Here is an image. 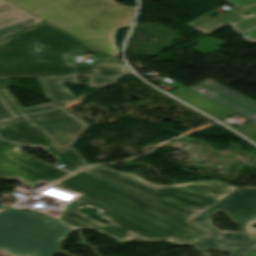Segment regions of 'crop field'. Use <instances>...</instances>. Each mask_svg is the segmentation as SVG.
<instances>
[{"label": "crop field", "instance_id": "obj_11", "mask_svg": "<svg viewBox=\"0 0 256 256\" xmlns=\"http://www.w3.org/2000/svg\"><path fill=\"white\" fill-rule=\"evenodd\" d=\"M43 20L0 0V40Z\"/></svg>", "mask_w": 256, "mask_h": 256}, {"label": "crop field", "instance_id": "obj_1", "mask_svg": "<svg viewBox=\"0 0 256 256\" xmlns=\"http://www.w3.org/2000/svg\"><path fill=\"white\" fill-rule=\"evenodd\" d=\"M58 183L190 244L214 233L191 220L239 188L219 181L161 186L105 166Z\"/></svg>", "mask_w": 256, "mask_h": 256}, {"label": "crop field", "instance_id": "obj_9", "mask_svg": "<svg viewBox=\"0 0 256 256\" xmlns=\"http://www.w3.org/2000/svg\"><path fill=\"white\" fill-rule=\"evenodd\" d=\"M0 136L5 140L31 147L42 146L45 150L52 153L71 172L88 164L74 147L60 152L49 144L40 132L27 126L26 123L0 127Z\"/></svg>", "mask_w": 256, "mask_h": 256}, {"label": "crop field", "instance_id": "obj_17", "mask_svg": "<svg viewBox=\"0 0 256 256\" xmlns=\"http://www.w3.org/2000/svg\"><path fill=\"white\" fill-rule=\"evenodd\" d=\"M243 37L247 42L256 43V25L239 34Z\"/></svg>", "mask_w": 256, "mask_h": 256}, {"label": "crop field", "instance_id": "obj_12", "mask_svg": "<svg viewBox=\"0 0 256 256\" xmlns=\"http://www.w3.org/2000/svg\"><path fill=\"white\" fill-rule=\"evenodd\" d=\"M227 24H229L238 34L243 32L256 24V8L244 14L235 10L219 18H213L192 29L210 35Z\"/></svg>", "mask_w": 256, "mask_h": 256}, {"label": "crop field", "instance_id": "obj_7", "mask_svg": "<svg viewBox=\"0 0 256 256\" xmlns=\"http://www.w3.org/2000/svg\"><path fill=\"white\" fill-rule=\"evenodd\" d=\"M21 147L23 146L5 142L0 138V173L31 187L41 182L48 185L68 175L23 153L19 150Z\"/></svg>", "mask_w": 256, "mask_h": 256}, {"label": "crop field", "instance_id": "obj_2", "mask_svg": "<svg viewBox=\"0 0 256 256\" xmlns=\"http://www.w3.org/2000/svg\"><path fill=\"white\" fill-rule=\"evenodd\" d=\"M42 46L40 50L35 45ZM98 49L44 22L0 42V88L12 77H36L49 101L65 105L76 99L63 83L87 76L89 85H104L128 72L122 63L68 64L66 55Z\"/></svg>", "mask_w": 256, "mask_h": 256}, {"label": "crop field", "instance_id": "obj_21", "mask_svg": "<svg viewBox=\"0 0 256 256\" xmlns=\"http://www.w3.org/2000/svg\"><path fill=\"white\" fill-rule=\"evenodd\" d=\"M252 8H254V7H252ZM252 8H248V9H244V10H241V12H246V11H248V10H250V9H252ZM238 10V9H237ZM240 11V10H239Z\"/></svg>", "mask_w": 256, "mask_h": 256}, {"label": "crop field", "instance_id": "obj_20", "mask_svg": "<svg viewBox=\"0 0 256 256\" xmlns=\"http://www.w3.org/2000/svg\"><path fill=\"white\" fill-rule=\"evenodd\" d=\"M72 230H74V229H72ZM72 230H70V231L64 233V234L61 236V238L59 239V241L57 242L56 246H55L54 248H52L51 250H54V251L58 250L59 247H60V245L62 244L63 240L65 239L66 235H67L69 232H71Z\"/></svg>", "mask_w": 256, "mask_h": 256}, {"label": "crop field", "instance_id": "obj_14", "mask_svg": "<svg viewBox=\"0 0 256 256\" xmlns=\"http://www.w3.org/2000/svg\"><path fill=\"white\" fill-rule=\"evenodd\" d=\"M1 90L5 94V96L9 99V101L12 103V105L16 108V110L19 112L20 115H26V114H30V113H35V112H39V111H44V110H48V109H54V108L61 107V106L55 105L53 103H49V104H43V105L24 108L19 103V101L10 93V91L7 88L1 89Z\"/></svg>", "mask_w": 256, "mask_h": 256}, {"label": "crop field", "instance_id": "obj_5", "mask_svg": "<svg viewBox=\"0 0 256 256\" xmlns=\"http://www.w3.org/2000/svg\"><path fill=\"white\" fill-rule=\"evenodd\" d=\"M71 228L46 217L7 208L0 212V250L14 256H50Z\"/></svg>", "mask_w": 256, "mask_h": 256}, {"label": "crop field", "instance_id": "obj_22", "mask_svg": "<svg viewBox=\"0 0 256 256\" xmlns=\"http://www.w3.org/2000/svg\"><path fill=\"white\" fill-rule=\"evenodd\" d=\"M0 177H6V178H9V177H7V176H4V175H2V174H0ZM11 179V178H10Z\"/></svg>", "mask_w": 256, "mask_h": 256}, {"label": "crop field", "instance_id": "obj_13", "mask_svg": "<svg viewBox=\"0 0 256 256\" xmlns=\"http://www.w3.org/2000/svg\"><path fill=\"white\" fill-rule=\"evenodd\" d=\"M187 103L207 112L211 116L215 117L216 119L220 120L233 112L195 94L194 92L186 89L176 95H174ZM206 113V114H207Z\"/></svg>", "mask_w": 256, "mask_h": 256}, {"label": "crop field", "instance_id": "obj_10", "mask_svg": "<svg viewBox=\"0 0 256 256\" xmlns=\"http://www.w3.org/2000/svg\"><path fill=\"white\" fill-rule=\"evenodd\" d=\"M188 89L248 118L256 123V102L211 80L188 87Z\"/></svg>", "mask_w": 256, "mask_h": 256}, {"label": "crop field", "instance_id": "obj_16", "mask_svg": "<svg viewBox=\"0 0 256 256\" xmlns=\"http://www.w3.org/2000/svg\"><path fill=\"white\" fill-rule=\"evenodd\" d=\"M17 115L16 111L0 94V119Z\"/></svg>", "mask_w": 256, "mask_h": 256}, {"label": "crop field", "instance_id": "obj_19", "mask_svg": "<svg viewBox=\"0 0 256 256\" xmlns=\"http://www.w3.org/2000/svg\"><path fill=\"white\" fill-rule=\"evenodd\" d=\"M22 122L23 121L21 120V118L17 117V118H13V119H9V120L0 121V126L22 123Z\"/></svg>", "mask_w": 256, "mask_h": 256}, {"label": "crop field", "instance_id": "obj_8", "mask_svg": "<svg viewBox=\"0 0 256 256\" xmlns=\"http://www.w3.org/2000/svg\"><path fill=\"white\" fill-rule=\"evenodd\" d=\"M23 118L62 150L73 146L90 126L64 108Z\"/></svg>", "mask_w": 256, "mask_h": 256}, {"label": "crop field", "instance_id": "obj_3", "mask_svg": "<svg viewBox=\"0 0 256 256\" xmlns=\"http://www.w3.org/2000/svg\"><path fill=\"white\" fill-rule=\"evenodd\" d=\"M46 22L118 56L113 36L117 28L131 24L136 8L113 0H6Z\"/></svg>", "mask_w": 256, "mask_h": 256}, {"label": "crop field", "instance_id": "obj_15", "mask_svg": "<svg viewBox=\"0 0 256 256\" xmlns=\"http://www.w3.org/2000/svg\"><path fill=\"white\" fill-rule=\"evenodd\" d=\"M237 131L256 143V124L248 122L237 128Z\"/></svg>", "mask_w": 256, "mask_h": 256}, {"label": "crop field", "instance_id": "obj_18", "mask_svg": "<svg viewBox=\"0 0 256 256\" xmlns=\"http://www.w3.org/2000/svg\"><path fill=\"white\" fill-rule=\"evenodd\" d=\"M228 1L235 4L240 9L256 4V0H228Z\"/></svg>", "mask_w": 256, "mask_h": 256}, {"label": "crop field", "instance_id": "obj_4", "mask_svg": "<svg viewBox=\"0 0 256 256\" xmlns=\"http://www.w3.org/2000/svg\"><path fill=\"white\" fill-rule=\"evenodd\" d=\"M216 211L227 213L242 230L226 232L213 228L209 218ZM192 221L217 232L194 244L203 256H210L209 248L227 251L231 256L243 255L256 248V233H250L247 228L248 224H256V188L237 189Z\"/></svg>", "mask_w": 256, "mask_h": 256}, {"label": "crop field", "instance_id": "obj_6", "mask_svg": "<svg viewBox=\"0 0 256 256\" xmlns=\"http://www.w3.org/2000/svg\"><path fill=\"white\" fill-rule=\"evenodd\" d=\"M52 186L74 192L58 183ZM70 205L71 206L69 207L68 211L64 214V220L76 228H91L118 241H170L181 245H186V243L170 235H167L147 224H144L85 196H81ZM82 207H90L99 210L98 216L111 221L112 224L101 225L96 221L86 217L85 215L78 212V210ZM129 233H135L136 235L131 237L128 236ZM135 237H138L139 239H134Z\"/></svg>", "mask_w": 256, "mask_h": 256}]
</instances>
